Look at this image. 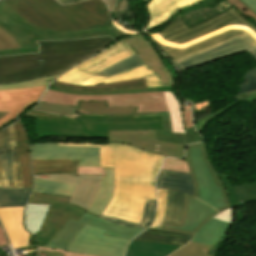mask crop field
I'll list each match as a JSON object with an SVG mask.
<instances>
[{
  "label": "crop field",
  "instance_id": "1",
  "mask_svg": "<svg viewBox=\"0 0 256 256\" xmlns=\"http://www.w3.org/2000/svg\"><path fill=\"white\" fill-rule=\"evenodd\" d=\"M186 159L195 194H185L180 225L166 223L163 230L194 235L193 242L214 244L231 225L211 218L225 208L256 201V182L232 186L229 176L217 174L208 162L204 142L187 146Z\"/></svg>",
  "mask_w": 256,
  "mask_h": 256
},
{
  "label": "crop field",
  "instance_id": "2",
  "mask_svg": "<svg viewBox=\"0 0 256 256\" xmlns=\"http://www.w3.org/2000/svg\"><path fill=\"white\" fill-rule=\"evenodd\" d=\"M114 41L116 40L108 36L83 40L37 42L39 54L0 56V84L63 73L100 52Z\"/></svg>",
  "mask_w": 256,
  "mask_h": 256
},
{
  "label": "crop field",
  "instance_id": "3",
  "mask_svg": "<svg viewBox=\"0 0 256 256\" xmlns=\"http://www.w3.org/2000/svg\"><path fill=\"white\" fill-rule=\"evenodd\" d=\"M246 33L256 45V25L232 7L192 28L177 16L159 33L151 35L158 48L172 61Z\"/></svg>",
  "mask_w": 256,
  "mask_h": 256
},
{
  "label": "crop field",
  "instance_id": "4",
  "mask_svg": "<svg viewBox=\"0 0 256 256\" xmlns=\"http://www.w3.org/2000/svg\"><path fill=\"white\" fill-rule=\"evenodd\" d=\"M40 31L63 32L108 26L107 7L102 0L60 5L56 0H3Z\"/></svg>",
  "mask_w": 256,
  "mask_h": 256
},
{
  "label": "crop field",
  "instance_id": "5",
  "mask_svg": "<svg viewBox=\"0 0 256 256\" xmlns=\"http://www.w3.org/2000/svg\"><path fill=\"white\" fill-rule=\"evenodd\" d=\"M38 137L108 138L112 131L164 130L162 116L76 115L65 121L35 118Z\"/></svg>",
  "mask_w": 256,
  "mask_h": 256
},
{
  "label": "crop field",
  "instance_id": "6",
  "mask_svg": "<svg viewBox=\"0 0 256 256\" xmlns=\"http://www.w3.org/2000/svg\"><path fill=\"white\" fill-rule=\"evenodd\" d=\"M77 101H108V107H139L137 112L169 111L173 132L185 133L181 109L172 92L112 96H76L46 90L41 102L76 106Z\"/></svg>",
  "mask_w": 256,
  "mask_h": 256
},
{
  "label": "crop field",
  "instance_id": "7",
  "mask_svg": "<svg viewBox=\"0 0 256 256\" xmlns=\"http://www.w3.org/2000/svg\"><path fill=\"white\" fill-rule=\"evenodd\" d=\"M0 27L11 34L21 45V49L1 51L0 55L19 54V53H38V45L35 41L44 40H68L75 38H92L97 36L110 35L116 40L135 33L126 30L123 26L111 22L108 27L81 30L48 36L17 15L3 1L0 3Z\"/></svg>",
  "mask_w": 256,
  "mask_h": 256
},
{
  "label": "crop field",
  "instance_id": "8",
  "mask_svg": "<svg viewBox=\"0 0 256 256\" xmlns=\"http://www.w3.org/2000/svg\"><path fill=\"white\" fill-rule=\"evenodd\" d=\"M59 144L109 145L107 148V167H115V179L123 180L155 182L162 161L166 157L119 143L59 142Z\"/></svg>",
  "mask_w": 256,
  "mask_h": 256
},
{
  "label": "crop field",
  "instance_id": "9",
  "mask_svg": "<svg viewBox=\"0 0 256 256\" xmlns=\"http://www.w3.org/2000/svg\"><path fill=\"white\" fill-rule=\"evenodd\" d=\"M104 230L85 224L67 251L98 256H123L130 241L103 237Z\"/></svg>",
  "mask_w": 256,
  "mask_h": 256
},
{
  "label": "crop field",
  "instance_id": "10",
  "mask_svg": "<svg viewBox=\"0 0 256 256\" xmlns=\"http://www.w3.org/2000/svg\"><path fill=\"white\" fill-rule=\"evenodd\" d=\"M85 223L106 230L104 236L128 240H131L137 234L144 231V229L117 226L110 222L104 221L95 216L85 213L78 222L68 220L64 227L46 247L66 250L74 236Z\"/></svg>",
  "mask_w": 256,
  "mask_h": 256
},
{
  "label": "crop field",
  "instance_id": "11",
  "mask_svg": "<svg viewBox=\"0 0 256 256\" xmlns=\"http://www.w3.org/2000/svg\"><path fill=\"white\" fill-rule=\"evenodd\" d=\"M145 199L156 200L155 189L115 188L113 199L103 214L140 223Z\"/></svg>",
  "mask_w": 256,
  "mask_h": 256
},
{
  "label": "crop field",
  "instance_id": "12",
  "mask_svg": "<svg viewBox=\"0 0 256 256\" xmlns=\"http://www.w3.org/2000/svg\"><path fill=\"white\" fill-rule=\"evenodd\" d=\"M256 46L247 37L246 34L226 40L220 44L193 53L189 56L174 61V64L180 70L203 65L233 54L248 51Z\"/></svg>",
  "mask_w": 256,
  "mask_h": 256
},
{
  "label": "crop field",
  "instance_id": "13",
  "mask_svg": "<svg viewBox=\"0 0 256 256\" xmlns=\"http://www.w3.org/2000/svg\"><path fill=\"white\" fill-rule=\"evenodd\" d=\"M32 159H80L78 166L100 167V148L31 143Z\"/></svg>",
  "mask_w": 256,
  "mask_h": 256
},
{
  "label": "crop field",
  "instance_id": "14",
  "mask_svg": "<svg viewBox=\"0 0 256 256\" xmlns=\"http://www.w3.org/2000/svg\"><path fill=\"white\" fill-rule=\"evenodd\" d=\"M109 142H119L149 152L172 156L175 158H184V147L181 145L170 144L156 141L155 131L140 132H112L109 134ZM158 145V147H156Z\"/></svg>",
  "mask_w": 256,
  "mask_h": 256
},
{
  "label": "crop field",
  "instance_id": "15",
  "mask_svg": "<svg viewBox=\"0 0 256 256\" xmlns=\"http://www.w3.org/2000/svg\"><path fill=\"white\" fill-rule=\"evenodd\" d=\"M0 187H22L13 125L0 131Z\"/></svg>",
  "mask_w": 256,
  "mask_h": 256
},
{
  "label": "crop field",
  "instance_id": "16",
  "mask_svg": "<svg viewBox=\"0 0 256 256\" xmlns=\"http://www.w3.org/2000/svg\"><path fill=\"white\" fill-rule=\"evenodd\" d=\"M34 178L77 184L69 203L88 210L99 190L102 176L50 175Z\"/></svg>",
  "mask_w": 256,
  "mask_h": 256
},
{
  "label": "crop field",
  "instance_id": "17",
  "mask_svg": "<svg viewBox=\"0 0 256 256\" xmlns=\"http://www.w3.org/2000/svg\"><path fill=\"white\" fill-rule=\"evenodd\" d=\"M45 87H37L25 90L0 91V111H11L0 120V126L18 117L34 102L38 103Z\"/></svg>",
  "mask_w": 256,
  "mask_h": 256
},
{
  "label": "crop field",
  "instance_id": "18",
  "mask_svg": "<svg viewBox=\"0 0 256 256\" xmlns=\"http://www.w3.org/2000/svg\"><path fill=\"white\" fill-rule=\"evenodd\" d=\"M85 212L86 210L70 204L67 207L50 205L46 220L35 236L38 246L45 247L68 219L78 221Z\"/></svg>",
  "mask_w": 256,
  "mask_h": 256
},
{
  "label": "crop field",
  "instance_id": "19",
  "mask_svg": "<svg viewBox=\"0 0 256 256\" xmlns=\"http://www.w3.org/2000/svg\"><path fill=\"white\" fill-rule=\"evenodd\" d=\"M122 40L140 56L150 69L159 74L164 86L175 85L170 71L142 33Z\"/></svg>",
  "mask_w": 256,
  "mask_h": 256
},
{
  "label": "crop field",
  "instance_id": "20",
  "mask_svg": "<svg viewBox=\"0 0 256 256\" xmlns=\"http://www.w3.org/2000/svg\"><path fill=\"white\" fill-rule=\"evenodd\" d=\"M24 207L0 209V221L13 249L28 246L30 234L23 229Z\"/></svg>",
  "mask_w": 256,
  "mask_h": 256
},
{
  "label": "crop field",
  "instance_id": "21",
  "mask_svg": "<svg viewBox=\"0 0 256 256\" xmlns=\"http://www.w3.org/2000/svg\"><path fill=\"white\" fill-rule=\"evenodd\" d=\"M50 86L57 89L78 93H110L147 89L144 78L94 86L72 85L55 81L51 83Z\"/></svg>",
  "mask_w": 256,
  "mask_h": 256
},
{
  "label": "crop field",
  "instance_id": "22",
  "mask_svg": "<svg viewBox=\"0 0 256 256\" xmlns=\"http://www.w3.org/2000/svg\"><path fill=\"white\" fill-rule=\"evenodd\" d=\"M135 52L122 40L117 44L113 45L108 50L104 51L100 55L76 66L81 70L88 72L90 74H95L104 68L125 59Z\"/></svg>",
  "mask_w": 256,
  "mask_h": 256
},
{
  "label": "crop field",
  "instance_id": "23",
  "mask_svg": "<svg viewBox=\"0 0 256 256\" xmlns=\"http://www.w3.org/2000/svg\"><path fill=\"white\" fill-rule=\"evenodd\" d=\"M201 0H151L147 5L150 21L146 29L160 25L179 10L197 5Z\"/></svg>",
  "mask_w": 256,
  "mask_h": 256
},
{
  "label": "crop field",
  "instance_id": "24",
  "mask_svg": "<svg viewBox=\"0 0 256 256\" xmlns=\"http://www.w3.org/2000/svg\"><path fill=\"white\" fill-rule=\"evenodd\" d=\"M17 157L21 163L23 187L32 188V172L30 166V146L27 135L20 121L14 124Z\"/></svg>",
  "mask_w": 256,
  "mask_h": 256
},
{
  "label": "crop field",
  "instance_id": "25",
  "mask_svg": "<svg viewBox=\"0 0 256 256\" xmlns=\"http://www.w3.org/2000/svg\"><path fill=\"white\" fill-rule=\"evenodd\" d=\"M141 77H145L148 88L163 86L162 81L158 74L150 70L146 65L118 74L110 78L96 77L92 80L82 83L81 85L106 84L110 82L129 80Z\"/></svg>",
  "mask_w": 256,
  "mask_h": 256
},
{
  "label": "crop field",
  "instance_id": "26",
  "mask_svg": "<svg viewBox=\"0 0 256 256\" xmlns=\"http://www.w3.org/2000/svg\"><path fill=\"white\" fill-rule=\"evenodd\" d=\"M114 190V169H105V175H103L102 184L99 190V193L87 211L92 215H99L106 209L108 206Z\"/></svg>",
  "mask_w": 256,
  "mask_h": 256
},
{
  "label": "crop field",
  "instance_id": "27",
  "mask_svg": "<svg viewBox=\"0 0 256 256\" xmlns=\"http://www.w3.org/2000/svg\"><path fill=\"white\" fill-rule=\"evenodd\" d=\"M79 160H32L33 175L76 173Z\"/></svg>",
  "mask_w": 256,
  "mask_h": 256
},
{
  "label": "crop field",
  "instance_id": "28",
  "mask_svg": "<svg viewBox=\"0 0 256 256\" xmlns=\"http://www.w3.org/2000/svg\"><path fill=\"white\" fill-rule=\"evenodd\" d=\"M192 236L176 232L147 229L134 240L183 246Z\"/></svg>",
  "mask_w": 256,
  "mask_h": 256
},
{
  "label": "crop field",
  "instance_id": "29",
  "mask_svg": "<svg viewBox=\"0 0 256 256\" xmlns=\"http://www.w3.org/2000/svg\"><path fill=\"white\" fill-rule=\"evenodd\" d=\"M180 246L132 241L126 256H167Z\"/></svg>",
  "mask_w": 256,
  "mask_h": 256
},
{
  "label": "crop field",
  "instance_id": "30",
  "mask_svg": "<svg viewBox=\"0 0 256 256\" xmlns=\"http://www.w3.org/2000/svg\"><path fill=\"white\" fill-rule=\"evenodd\" d=\"M165 131H156L157 140L186 145L200 142L202 138L194 131V128L185 129L186 134L172 133L169 116H163Z\"/></svg>",
  "mask_w": 256,
  "mask_h": 256
},
{
  "label": "crop field",
  "instance_id": "31",
  "mask_svg": "<svg viewBox=\"0 0 256 256\" xmlns=\"http://www.w3.org/2000/svg\"><path fill=\"white\" fill-rule=\"evenodd\" d=\"M48 207L49 205H26L24 212V227L34 236L45 220Z\"/></svg>",
  "mask_w": 256,
  "mask_h": 256
},
{
  "label": "crop field",
  "instance_id": "32",
  "mask_svg": "<svg viewBox=\"0 0 256 256\" xmlns=\"http://www.w3.org/2000/svg\"><path fill=\"white\" fill-rule=\"evenodd\" d=\"M32 189L0 188V208L25 206Z\"/></svg>",
  "mask_w": 256,
  "mask_h": 256
},
{
  "label": "crop field",
  "instance_id": "33",
  "mask_svg": "<svg viewBox=\"0 0 256 256\" xmlns=\"http://www.w3.org/2000/svg\"><path fill=\"white\" fill-rule=\"evenodd\" d=\"M183 196L184 194L182 193L168 190L164 216L159 229H163L165 222L179 224L182 211Z\"/></svg>",
  "mask_w": 256,
  "mask_h": 256
},
{
  "label": "crop field",
  "instance_id": "34",
  "mask_svg": "<svg viewBox=\"0 0 256 256\" xmlns=\"http://www.w3.org/2000/svg\"><path fill=\"white\" fill-rule=\"evenodd\" d=\"M137 108H107V102H78L77 113L134 114Z\"/></svg>",
  "mask_w": 256,
  "mask_h": 256
},
{
  "label": "crop field",
  "instance_id": "35",
  "mask_svg": "<svg viewBox=\"0 0 256 256\" xmlns=\"http://www.w3.org/2000/svg\"><path fill=\"white\" fill-rule=\"evenodd\" d=\"M76 185L34 179L35 192L71 197Z\"/></svg>",
  "mask_w": 256,
  "mask_h": 256
},
{
  "label": "crop field",
  "instance_id": "36",
  "mask_svg": "<svg viewBox=\"0 0 256 256\" xmlns=\"http://www.w3.org/2000/svg\"><path fill=\"white\" fill-rule=\"evenodd\" d=\"M156 208V201L145 200L143 217L141 225L136 223L127 222L124 220L116 219L113 217H109L106 215L101 214L100 218L110 221L114 224L121 225V226H129V227H137V228H146L149 223L151 222Z\"/></svg>",
  "mask_w": 256,
  "mask_h": 256
},
{
  "label": "crop field",
  "instance_id": "37",
  "mask_svg": "<svg viewBox=\"0 0 256 256\" xmlns=\"http://www.w3.org/2000/svg\"><path fill=\"white\" fill-rule=\"evenodd\" d=\"M157 189H170L193 196L194 188L191 180H179L159 175Z\"/></svg>",
  "mask_w": 256,
  "mask_h": 256
},
{
  "label": "crop field",
  "instance_id": "38",
  "mask_svg": "<svg viewBox=\"0 0 256 256\" xmlns=\"http://www.w3.org/2000/svg\"><path fill=\"white\" fill-rule=\"evenodd\" d=\"M144 65L143 61L139 58V56L137 54L122 60L108 68H106L105 70L95 74V75H104L107 77L116 75L118 73L133 69L135 67Z\"/></svg>",
  "mask_w": 256,
  "mask_h": 256
},
{
  "label": "crop field",
  "instance_id": "39",
  "mask_svg": "<svg viewBox=\"0 0 256 256\" xmlns=\"http://www.w3.org/2000/svg\"><path fill=\"white\" fill-rule=\"evenodd\" d=\"M211 247L212 245L189 242L182 249L170 256H211L207 255Z\"/></svg>",
  "mask_w": 256,
  "mask_h": 256
},
{
  "label": "crop field",
  "instance_id": "40",
  "mask_svg": "<svg viewBox=\"0 0 256 256\" xmlns=\"http://www.w3.org/2000/svg\"><path fill=\"white\" fill-rule=\"evenodd\" d=\"M70 198L58 197L33 192L28 203L31 204H54L67 206Z\"/></svg>",
  "mask_w": 256,
  "mask_h": 256
},
{
  "label": "crop field",
  "instance_id": "41",
  "mask_svg": "<svg viewBox=\"0 0 256 256\" xmlns=\"http://www.w3.org/2000/svg\"><path fill=\"white\" fill-rule=\"evenodd\" d=\"M57 76L58 75H54V76L40 78L36 80H31V81L0 85V90L25 89V88H31V87H37V86H45V85H49V83L53 79H55Z\"/></svg>",
  "mask_w": 256,
  "mask_h": 256
},
{
  "label": "crop field",
  "instance_id": "42",
  "mask_svg": "<svg viewBox=\"0 0 256 256\" xmlns=\"http://www.w3.org/2000/svg\"><path fill=\"white\" fill-rule=\"evenodd\" d=\"M94 77L96 76L85 74L79 69L74 67L71 70L64 73L63 75H61L56 80L61 82H66V83L80 84Z\"/></svg>",
  "mask_w": 256,
  "mask_h": 256
},
{
  "label": "crop field",
  "instance_id": "43",
  "mask_svg": "<svg viewBox=\"0 0 256 256\" xmlns=\"http://www.w3.org/2000/svg\"><path fill=\"white\" fill-rule=\"evenodd\" d=\"M32 110L73 116L75 114L76 107H67V106L53 105V104H46V103L39 102V104Z\"/></svg>",
  "mask_w": 256,
  "mask_h": 256
},
{
  "label": "crop field",
  "instance_id": "44",
  "mask_svg": "<svg viewBox=\"0 0 256 256\" xmlns=\"http://www.w3.org/2000/svg\"><path fill=\"white\" fill-rule=\"evenodd\" d=\"M157 191H158V210L153 223L148 227L153 229H158L161 224L162 215H163L164 206H165V200H166V193H167V190H157Z\"/></svg>",
  "mask_w": 256,
  "mask_h": 256
},
{
  "label": "crop field",
  "instance_id": "45",
  "mask_svg": "<svg viewBox=\"0 0 256 256\" xmlns=\"http://www.w3.org/2000/svg\"><path fill=\"white\" fill-rule=\"evenodd\" d=\"M20 48L18 42L8 33L0 28V51Z\"/></svg>",
  "mask_w": 256,
  "mask_h": 256
},
{
  "label": "crop field",
  "instance_id": "46",
  "mask_svg": "<svg viewBox=\"0 0 256 256\" xmlns=\"http://www.w3.org/2000/svg\"><path fill=\"white\" fill-rule=\"evenodd\" d=\"M224 4H228V3H222V5H224ZM222 5H217V6L215 7V9H216L218 12H220V8H221ZM212 10H213V9H212ZM214 12H215V11H214ZM207 14H208L209 16L206 17L205 20L208 19V18H210V17H212V16H210V15L212 14L210 8L200 9V10H198V11H194L193 13L187 14V15L182 16V17L184 18V20H185V21L189 24V26L191 27V26L195 25V24H191V22H193L192 19H194L195 17H204V16L207 15ZM214 15H216V14H214ZM198 20H199V19H198ZM199 23H200V22H199Z\"/></svg>",
  "mask_w": 256,
  "mask_h": 256
},
{
  "label": "crop field",
  "instance_id": "47",
  "mask_svg": "<svg viewBox=\"0 0 256 256\" xmlns=\"http://www.w3.org/2000/svg\"><path fill=\"white\" fill-rule=\"evenodd\" d=\"M256 89V68L245 74L240 93Z\"/></svg>",
  "mask_w": 256,
  "mask_h": 256
},
{
  "label": "crop field",
  "instance_id": "48",
  "mask_svg": "<svg viewBox=\"0 0 256 256\" xmlns=\"http://www.w3.org/2000/svg\"><path fill=\"white\" fill-rule=\"evenodd\" d=\"M162 168L190 172L187 163L178 159L166 158Z\"/></svg>",
  "mask_w": 256,
  "mask_h": 256
},
{
  "label": "crop field",
  "instance_id": "49",
  "mask_svg": "<svg viewBox=\"0 0 256 256\" xmlns=\"http://www.w3.org/2000/svg\"><path fill=\"white\" fill-rule=\"evenodd\" d=\"M115 187L155 188V183L141 182V181H122V180H115Z\"/></svg>",
  "mask_w": 256,
  "mask_h": 256
},
{
  "label": "crop field",
  "instance_id": "50",
  "mask_svg": "<svg viewBox=\"0 0 256 256\" xmlns=\"http://www.w3.org/2000/svg\"><path fill=\"white\" fill-rule=\"evenodd\" d=\"M109 8L110 13L120 12L123 10H129L127 0H104Z\"/></svg>",
  "mask_w": 256,
  "mask_h": 256
},
{
  "label": "crop field",
  "instance_id": "51",
  "mask_svg": "<svg viewBox=\"0 0 256 256\" xmlns=\"http://www.w3.org/2000/svg\"><path fill=\"white\" fill-rule=\"evenodd\" d=\"M241 101H243V100H240V101H238V102H235L234 104H232V105H230V106H228V107H225V108H223V109H221V110H219V111H217V112H215V113H213V114H211V115H208V116H206V117H203V118L197 120V124H196V130H197V132H198V133L201 132V131L203 130L204 126H205L211 119H213L214 117H216V116L219 115L220 113H222V112H224L225 110H227V109L233 107L234 105L238 104V103L241 102Z\"/></svg>",
  "mask_w": 256,
  "mask_h": 256
},
{
  "label": "crop field",
  "instance_id": "52",
  "mask_svg": "<svg viewBox=\"0 0 256 256\" xmlns=\"http://www.w3.org/2000/svg\"><path fill=\"white\" fill-rule=\"evenodd\" d=\"M172 88H173V86H168V87L152 88V89L145 90V91L123 92V93H110V94H78V93H71V94H77V95H112V94H127V93H143V92L171 91ZM48 89L60 91V90H57V89L51 88V87H48ZM60 92H65V91H60ZM65 93H69V92H65Z\"/></svg>",
  "mask_w": 256,
  "mask_h": 256
},
{
  "label": "crop field",
  "instance_id": "53",
  "mask_svg": "<svg viewBox=\"0 0 256 256\" xmlns=\"http://www.w3.org/2000/svg\"><path fill=\"white\" fill-rule=\"evenodd\" d=\"M233 6H235L243 15H248L256 20V14L252 12L245 4L240 0H227ZM256 24V22H255Z\"/></svg>",
  "mask_w": 256,
  "mask_h": 256
},
{
  "label": "crop field",
  "instance_id": "54",
  "mask_svg": "<svg viewBox=\"0 0 256 256\" xmlns=\"http://www.w3.org/2000/svg\"><path fill=\"white\" fill-rule=\"evenodd\" d=\"M159 174L174 177V178H180V179H191L190 173H185V172H176V171L161 169Z\"/></svg>",
  "mask_w": 256,
  "mask_h": 256
},
{
  "label": "crop field",
  "instance_id": "55",
  "mask_svg": "<svg viewBox=\"0 0 256 256\" xmlns=\"http://www.w3.org/2000/svg\"><path fill=\"white\" fill-rule=\"evenodd\" d=\"M213 219L232 224V208L221 211Z\"/></svg>",
  "mask_w": 256,
  "mask_h": 256
},
{
  "label": "crop field",
  "instance_id": "56",
  "mask_svg": "<svg viewBox=\"0 0 256 256\" xmlns=\"http://www.w3.org/2000/svg\"><path fill=\"white\" fill-rule=\"evenodd\" d=\"M77 173H82V174H102L103 173V168L78 167Z\"/></svg>",
  "mask_w": 256,
  "mask_h": 256
},
{
  "label": "crop field",
  "instance_id": "57",
  "mask_svg": "<svg viewBox=\"0 0 256 256\" xmlns=\"http://www.w3.org/2000/svg\"><path fill=\"white\" fill-rule=\"evenodd\" d=\"M27 116H31V117H40V118H55V119H61V120H65V117L62 116H56V115H50V114H46V113H37V112H29L27 114Z\"/></svg>",
  "mask_w": 256,
  "mask_h": 256
},
{
  "label": "crop field",
  "instance_id": "58",
  "mask_svg": "<svg viewBox=\"0 0 256 256\" xmlns=\"http://www.w3.org/2000/svg\"><path fill=\"white\" fill-rule=\"evenodd\" d=\"M182 115H183V119H184L185 128L193 127L191 110L182 111Z\"/></svg>",
  "mask_w": 256,
  "mask_h": 256
},
{
  "label": "crop field",
  "instance_id": "59",
  "mask_svg": "<svg viewBox=\"0 0 256 256\" xmlns=\"http://www.w3.org/2000/svg\"><path fill=\"white\" fill-rule=\"evenodd\" d=\"M72 146L101 147V167H106V147L108 146H93V145H72Z\"/></svg>",
  "mask_w": 256,
  "mask_h": 256
},
{
  "label": "crop field",
  "instance_id": "60",
  "mask_svg": "<svg viewBox=\"0 0 256 256\" xmlns=\"http://www.w3.org/2000/svg\"><path fill=\"white\" fill-rule=\"evenodd\" d=\"M238 96L243 98V99H245V100H247V101H249V102H252V101L256 100V90L250 91V92H248L246 94H239Z\"/></svg>",
  "mask_w": 256,
  "mask_h": 256
},
{
  "label": "crop field",
  "instance_id": "61",
  "mask_svg": "<svg viewBox=\"0 0 256 256\" xmlns=\"http://www.w3.org/2000/svg\"><path fill=\"white\" fill-rule=\"evenodd\" d=\"M38 249L45 250V251H53V252H57V253H65L64 256H87L85 254L70 253V252H66L63 250H57V249H49V248H41V247H38Z\"/></svg>",
  "mask_w": 256,
  "mask_h": 256
},
{
  "label": "crop field",
  "instance_id": "62",
  "mask_svg": "<svg viewBox=\"0 0 256 256\" xmlns=\"http://www.w3.org/2000/svg\"><path fill=\"white\" fill-rule=\"evenodd\" d=\"M241 1L256 13V0H241Z\"/></svg>",
  "mask_w": 256,
  "mask_h": 256
},
{
  "label": "crop field",
  "instance_id": "63",
  "mask_svg": "<svg viewBox=\"0 0 256 256\" xmlns=\"http://www.w3.org/2000/svg\"><path fill=\"white\" fill-rule=\"evenodd\" d=\"M8 243H9V242H8V240H7V238H6V235H5L3 229H2V227H1V225H0V246H1V245L8 244Z\"/></svg>",
  "mask_w": 256,
  "mask_h": 256
},
{
  "label": "crop field",
  "instance_id": "64",
  "mask_svg": "<svg viewBox=\"0 0 256 256\" xmlns=\"http://www.w3.org/2000/svg\"><path fill=\"white\" fill-rule=\"evenodd\" d=\"M150 115H169V114H168V112L137 113V114H134V117H137V116H150Z\"/></svg>",
  "mask_w": 256,
  "mask_h": 256
},
{
  "label": "crop field",
  "instance_id": "65",
  "mask_svg": "<svg viewBox=\"0 0 256 256\" xmlns=\"http://www.w3.org/2000/svg\"><path fill=\"white\" fill-rule=\"evenodd\" d=\"M63 254H57L53 252H45L38 250V256H62Z\"/></svg>",
  "mask_w": 256,
  "mask_h": 256
},
{
  "label": "crop field",
  "instance_id": "66",
  "mask_svg": "<svg viewBox=\"0 0 256 256\" xmlns=\"http://www.w3.org/2000/svg\"><path fill=\"white\" fill-rule=\"evenodd\" d=\"M163 61L165 62L166 66L169 68V70L172 72L174 79H176V71L174 70V68L171 66V64L168 62V60L166 58L163 59Z\"/></svg>",
  "mask_w": 256,
  "mask_h": 256
},
{
  "label": "crop field",
  "instance_id": "67",
  "mask_svg": "<svg viewBox=\"0 0 256 256\" xmlns=\"http://www.w3.org/2000/svg\"><path fill=\"white\" fill-rule=\"evenodd\" d=\"M60 3H69V2H77L81 0H58Z\"/></svg>",
  "mask_w": 256,
  "mask_h": 256
},
{
  "label": "crop field",
  "instance_id": "68",
  "mask_svg": "<svg viewBox=\"0 0 256 256\" xmlns=\"http://www.w3.org/2000/svg\"><path fill=\"white\" fill-rule=\"evenodd\" d=\"M248 53L256 59V50L248 51Z\"/></svg>",
  "mask_w": 256,
  "mask_h": 256
},
{
  "label": "crop field",
  "instance_id": "69",
  "mask_svg": "<svg viewBox=\"0 0 256 256\" xmlns=\"http://www.w3.org/2000/svg\"><path fill=\"white\" fill-rule=\"evenodd\" d=\"M8 112H0V119L4 116V115H6Z\"/></svg>",
  "mask_w": 256,
  "mask_h": 256
},
{
  "label": "crop field",
  "instance_id": "70",
  "mask_svg": "<svg viewBox=\"0 0 256 256\" xmlns=\"http://www.w3.org/2000/svg\"><path fill=\"white\" fill-rule=\"evenodd\" d=\"M88 256H91V255H88Z\"/></svg>",
  "mask_w": 256,
  "mask_h": 256
},
{
  "label": "crop field",
  "instance_id": "71",
  "mask_svg": "<svg viewBox=\"0 0 256 256\" xmlns=\"http://www.w3.org/2000/svg\"><path fill=\"white\" fill-rule=\"evenodd\" d=\"M146 1H148V0H146Z\"/></svg>",
  "mask_w": 256,
  "mask_h": 256
}]
</instances>
